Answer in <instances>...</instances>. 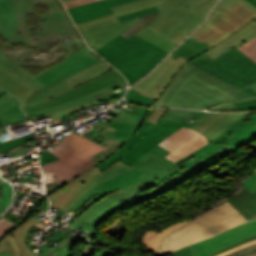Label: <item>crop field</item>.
Listing matches in <instances>:
<instances>
[{
	"instance_id": "crop-field-1",
	"label": "crop field",
	"mask_w": 256,
	"mask_h": 256,
	"mask_svg": "<svg viewBox=\"0 0 256 256\" xmlns=\"http://www.w3.org/2000/svg\"><path fill=\"white\" fill-rule=\"evenodd\" d=\"M193 1L137 0L112 7L114 13L77 24V27L88 45L96 51L142 18L120 23L116 17L157 6L160 14L145 28L177 45L201 24L217 0H209L194 9L185 7Z\"/></svg>"
},
{
	"instance_id": "crop-field-2",
	"label": "crop field",
	"mask_w": 256,
	"mask_h": 256,
	"mask_svg": "<svg viewBox=\"0 0 256 256\" xmlns=\"http://www.w3.org/2000/svg\"><path fill=\"white\" fill-rule=\"evenodd\" d=\"M168 153L170 152L157 145L138 162L136 161L137 163L133 167L146 172L138 176L142 180L115 191L117 194L107 199L102 198L92 204L77 218L79 226L92 231L101 221L112 214L160 195L193 175L185 169L169 181L156 187L154 180L178 166L164 158Z\"/></svg>"
},
{
	"instance_id": "crop-field-3",
	"label": "crop field",
	"mask_w": 256,
	"mask_h": 256,
	"mask_svg": "<svg viewBox=\"0 0 256 256\" xmlns=\"http://www.w3.org/2000/svg\"><path fill=\"white\" fill-rule=\"evenodd\" d=\"M37 3H45L49 7L48 13L38 16L40 25L28 27L26 15ZM0 34L12 42L22 41L41 47L67 37L80 41L56 0H0Z\"/></svg>"
},
{
	"instance_id": "crop-field-4",
	"label": "crop field",
	"mask_w": 256,
	"mask_h": 256,
	"mask_svg": "<svg viewBox=\"0 0 256 256\" xmlns=\"http://www.w3.org/2000/svg\"><path fill=\"white\" fill-rule=\"evenodd\" d=\"M171 83L154 105L206 109L254 97L188 63Z\"/></svg>"
},
{
	"instance_id": "crop-field-5",
	"label": "crop field",
	"mask_w": 256,
	"mask_h": 256,
	"mask_svg": "<svg viewBox=\"0 0 256 256\" xmlns=\"http://www.w3.org/2000/svg\"><path fill=\"white\" fill-rule=\"evenodd\" d=\"M246 221L226 202L194 220L169 225L158 233L149 229L141 243L151 253L161 256Z\"/></svg>"
},
{
	"instance_id": "crop-field-6",
	"label": "crop field",
	"mask_w": 256,
	"mask_h": 256,
	"mask_svg": "<svg viewBox=\"0 0 256 256\" xmlns=\"http://www.w3.org/2000/svg\"><path fill=\"white\" fill-rule=\"evenodd\" d=\"M96 52L127 77L129 86L169 53L136 34L128 39L120 35Z\"/></svg>"
},
{
	"instance_id": "crop-field-7",
	"label": "crop field",
	"mask_w": 256,
	"mask_h": 256,
	"mask_svg": "<svg viewBox=\"0 0 256 256\" xmlns=\"http://www.w3.org/2000/svg\"><path fill=\"white\" fill-rule=\"evenodd\" d=\"M101 150L109 152L100 145L71 133L65 136L55 148L48 150L61 160L41 165L42 171L43 173L57 172L56 182L62 187L94 167L95 163L91 156Z\"/></svg>"
},
{
	"instance_id": "crop-field-8",
	"label": "crop field",
	"mask_w": 256,
	"mask_h": 256,
	"mask_svg": "<svg viewBox=\"0 0 256 256\" xmlns=\"http://www.w3.org/2000/svg\"><path fill=\"white\" fill-rule=\"evenodd\" d=\"M153 110L154 109L151 108L142 126L125 146L121 147L119 151L97 165L101 172L117 160L132 166L150 149L180 129L182 126L191 128V126L188 125L177 124L163 119H160L157 125L145 122Z\"/></svg>"
},
{
	"instance_id": "crop-field-9",
	"label": "crop field",
	"mask_w": 256,
	"mask_h": 256,
	"mask_svg": "<svg viewBox=\"0 0 256 256\" xmlns=\"http://www.w3.org/2000/svg\"><path fill=\"white\" fill-rule=\"evenodd\" d=\"M254 18L256 12L242 2L239 1L230 7L220 1L207 21L190 37L200 42L205 41L213 47Z\"/></svg>"
},
{
	"instance_id": "crop-field-10",
	"label": "crop field",
	"mask_w": 256,
	"mask_h": 256,
	"mask_svg": "<svg viewBox=\"0 0 256 256\" xmlns=\"http://www.w3.org/2000/svg\"><path fill=\"white\" fill-rule=\"evenodd\" d=\"M189 63L256 96V92L251 88H245L256 82V63L236 48L213 62L203 53Z\"/></svg>"
},
{
	"instance_id": "crop-field-11",
	"label": "crop field",
	"mask_w": 256,
	"mask_h": 256,
	"mask_svg": "<svg viewBox=\"0 0 256 256\" xmlns=\"http://www.w3.org/2000/svg\"><path fill=\"white\" fill-rule=\"evenodd\" d=\"M131 168L133 167L118 161L101 173L95 166L68 183L65 191L61 188L48 195V198L52 207H60V210L66 213L90 189Z\"/></svg>"
},
{
	"instance_id": "crop-field-12",
	"label": "crop field",
	"mask_w": 256,
	"mask_h": 256,
	"mask_svg": "<svg viewBox=\"0 0 256 256\" xmlns=\"http://www.w3.org/2000/svg\"><path fill=\"white\" fill-rule=\"evenodd\" d=\"M250 118L256 122V114L251 115ZM254 139H256V129L249 133L248 135H246L245 137H243L242 139H240L239 141H237L236 143H234L233 145H228L220 150L211 143H209L208 145L202 147L201 149L177 161L176 163L179 165L177 168H175L169 174L154 182L157 186L172 178L185 168L188 169L193 174H195L205 169L206 167L212 165L213 163L217 162L218 160L224 158L225 156L229 155L232 151L244 146L245 144L249 143Z\"/></svg>"
},
{
	"instance_id": "crop-field-13",
	"label": "crop field",
	"mask_w": 256,
	"mask_h": 256,
	"mask_svg": "<svg viewBox=\"0 0 256 256\" xmlns=\"http://www.w3.org/2000/svg\"><path fill=\"white\" fill-rule=\"evenodd\" d=\"M60 42L61 43L58 44V46L49 50V46L40 48L29 44H27L25 48L17 49V47H13L10 41H8L5 45L12 48L13 50L4 52L3 50L5 49H0L2 50V52H4L6 55H8L21 66L24 64H26L27 66H29V64H40L42 67H44V65L56 63V59L60 55L64 56L60 59L62 61L63 59H66L67 57L77 52L81 48L85 47L83 43L79 41L61 40Z\"/></svg>"
},
{
	"instance_id": "crop-field-14",
	"label": "crop field",
	"mask_w": 256,
	"mask_h": 256,
	"mask_svg": "<svg viewBox=\"0 0 256 256\" xmlns=\"http://www.w3.org/2000/svg\"><path fill=\"white\" fill-rule=\"evenodd\" d=\"M98 57L87 47L81 49L58 65L36 75L35 81L42 84L36 90L52 85L75 72L100 61L101 59Z\"/></svg>"
},
{
	"instance_id": "crop-field-15",
	"label": "crop field",
	"mask_w": 256,
	"mask_h": 256,
	"mask_svg": "<svg viewBox=\"0 0 256 256\" xmlns=\"http://www.w3.org/2000/svg\"><path fill=\"white\" fill-rule=\"evenodd\" d=\"M189 60L181 56L174 60L169 56L152 74L131 89L156 100L173 79L177 71ZM157 94L159 95L156 96Z\"/></svg>"
},
{
	"instance_id": "crop-field-16",
	"label": "crop field",
	"mask_w": 256,
	"mask_h": 256,
	"mask_svg": "<svg viewBox=\"0 0 256 256\" xmlns=\"http://www.w3.org/2000/svg\"><path fill=\"white\" fill-rule=\"evenodd\" d=\"M125 81L122 74H120L115 69L107 72L106 74L90 81L85 84L79 85L75 87L74 89L66 92L65 94H62L58 97H55L45 103L29 106V107H22L24 112H31L35 110H40L44 108L53 107L55 105L61 104L63 102L69 101L71 99L77 98L79 96L118 84L120 82Z\"/></svg>"
},
{
	"instance_id": "crop-field-17",
	"label": "crop field",
	"mask_w": 256,
	"mask_h": 256,
	"mask_svg": "<svg viewBox=\"0 0 256 256\" xmlns=\"http://www.w3.org/2000/svg\"><path fill=\"white\" fill-rule=\"evenodd\" d=\"M256 234V220L239 225L190 246L192 256H207L231 243Z\"/></svg>"
},
{
	"instance_id": "crop-field-18",
	"label": "crop field",
	"mask_w": 256,
	"mask_h": 256,
	"mask_svg": "<svg viewBox=\"0 0 256 256\" xmlns=\"http://www.w3.org/2000/svg\"><path fill=\"white\" fill-rule=\"evenodd\" d=\"M208 143L206 138L197 131L182 127L158 145L170 151L166 158L175 162Z\"/></svg>"
},
{
	"instance_id": "crop-field-19",
	"label": "crop field",
	"mask_w": 256,
	"mask_h": 256,
	"mask_svg": "<svg viewBox=\"0 0 256 256\" xmlns=\"http://www.w3.org/2000/svg\"><path fill=\"white\" fill-rule=\"evenodd\" d=\"M0 85L19 97L22 106H25L29 96L40 86L34 81L28 82L2 63H0Z\"/></svg>"
},
{
	"instance_id": "crop-field-20",
	"label": "crop field",
	"mask_w": 256,
	"mask_h": 256,
	"mask_svg": "<svg viewBox=\"0 0 256 256\" xmlns=\"http://www.w3.org/2000/svg\"><path fill=\"white\" fill-rule=\"evenodd\" d=\"M133 0H103L75 8L68 9L75 24L81 23L99 16L112 13L110 7L130 2Z\"/></svg>"
},
{
	"instance_id": "crop-field-21",
	"label": "crop field",
	"mask_w": 256,
	"mask_h": 256,
	"mask_svg": "<svg viewBox=\"0 0 256 256\" xmlns=\"http://www.w3.org/2000/svg\"><path fill=\"white\" fill-rule=\"evenodd\" d=\"M256 35V22L252 21L248 25L244 26L240 30L233 33L231 36L214 46L209 51L205 52L209 58L213 61L215 58L226 53L230 49L246 42L250 38Z\"/></svg>"
},
{
	"instance_id": "crop-field-22",
	"label": "crop field",
	"mask_w": 256,
	"mask_h": 256,
	"mask_svg": "<svg viewBox=\"0 0 256 256\" xmlns=\"http://www.w3.org/2000/svg\"><path fill=\"white\" fill-rule=\"evenodd\" d=\"M126 84H127V81H125L123 83H120L118 85H115V86H112V87H109V88H106V89H103V90H100V91L82 96L80 98L74 99L72 101L66 102L64 104L58 105V106L53 107V108L28 113L27 116L29 117V119H33V118L41 117L43 115H47V114H50V113H54V112H57V111L68 109V108H71V107H74V106H78V105H81V104H84V103H88V102H91V101H110V100H113L115 98H121L124 91L117 92L114 95L104 97V98H101V99H98V100L94 99L93 96L115 90V89H117L119 87H122ZM74 103H76V104H74Z\"/></svg>"
},
{
	"instance_id": "crop-field-23",
	"label": "crop field",
	"mask_w": 256,
	"mask_h": 256,
	"mask_svg": "<svg viewBox=\"0 0 256 256\" xmlns=\"http://www.w3.org/2000/svg\"><path fill=\"white\" fill-rule=\"evenodd\" d=\"M38 222L40 221L32 216L3 238L4 242L10 247L13 256H36L25 246V238L28 231Z\"/></svg>"
},
{
	"instance_id": "crop-field-24",
	"label": "crop field",
	"mask_w": 256,
	"mask_h": 256,
	"mask_svg": "<svg viewBox=\"0 0 256 256\" xmlns=\"http://www.w3.org/2000/svg\"><path fill=\"white\" fill-rule=\"evenodd\" d=\"M256 128V123L249 119L248 117L244 116L227 130H225L221 135H219L213 143L219 149L228 145L233 144L252 130Z\"/></svg>"
},
{
	"instance_id": "crop-field-25",
	"label": "crop field",
	"mask_w": 256,
	"mask_h": 256,
	"mask_svg": "<svg viewBox=\"0 0 256 256\" xmlns=\"http://www.w3.org/2000/svg\"><path fill=\"white\" fill-rule=\"evenodd\" d=\"M102 62H104V60H102V61H100V62H98L96 64H93V65H91V66H89V67H87V68L77 72L76 74H74V75H72V76H70V77H68V78H66V79H64V80H62V81L52 85V86H49L47 88H44V89H41L39 91L34 92L30 96L26 106L45 102V101H47V100H49V99H51V98H53V97H55L57 95H60V94H62L64 92L72 89L73 87L71 85H69L65 80H67V79H69V78H71V77H73V76H75V75H77L79 73H82V72H84V71H86V70H88V69H90V68H92V67H94V66H96V65H98L100 63H102Z\"/></svg>"
},
{
	"instance_id": "crop-field-26",
	"label": "crop field",
	"mask_w": 256,
	"mask_h": 256,
	"mask_svg": "<svg viewBox=\"0 0 256 256\" xmlns=\"http://www.w3.org/2000/svg\"><path fill=\"white\" fill-rule=\"evenodd\" d=\"M5 92V90L0 88V97ZM27 119L28 118L20 108L19 100L15 97L0 106V126L25 121Z\"/></svg>"
},
{
	"instance_id": "crop-field-27",
	"label": "crop field",
	"mask_w": 256,
	"mask_h": 256,
	"mask_svg": "<svg viewBox=\"0 0 256 256\" xmlns=\"http://www.w3.org/2000/svg\"><path fill=\"white\" fill-rule=\"evenodd\" d=\"M248 221L256 219V191H245L228 201Z\"/></svg>"
},
{
	"instance_id": "crop-field-28",
	"label": "crop field",
	"mask_w": 256,
	"mask_h": 256,
	"mask_svg": "<svg viewBox=\"0 0 256 256\" xmlns=\"http://www.w3.org/2000/svg\"><path fill=\"white\" fill-rule=\"evenodd\" d=\"M244 115L245 114H227L210 129H208L205 133H203V135L207 138L209 142H211L220 133H222L225 129H227Z\"/></svg>"
},
{
	"instance_id": "crop-field-29",
	"label": "crop field",
	"mask_w": 256,
	"mask_h": 256,
	"mask_svg": "<svg viewBox=\"0 0 256 256\" xmlns=\"http://www.w3.org/2000/svg\"><path fill=\"white\" fill-rule=\"evenodd\" d=\"M111 69H112V67L110 65H108L106 62H104V63H102V64L82 73V74H79V75L67 80V82L70 83L73 87H75L79 84H82L84 82L92 80Z\"/></svg>"
},
{
	"instance_id": "crop-field-30",
	"label": "crop field",
	"mask_w": 256,
	"mask_h": 256,
	"mask_svg": "<svg viewBox=\"0 0 256 256\" xmlns=\"http://www.w3.org/2000/svg\"><path fill=\"white\" fill-rule=\"evenodd\" d=\"M99 126L100 128L97 129L96 131L94 129L84 130L103 140L109 137L115 141H117V139H120V142L129 135V133L123 132L121 130L110 128L103 122L99 123Z\"/></svg>"
},
{
	"instance_id": "crop-field-31",
	"label": "crop field",
	"mask_w": 256,
	"mask_h": 256,
	"mask_svg": "<svg viewBox=\"0 0 256 256\" xmlns=\"http://www.w3.org/2000/svg\"><path fill=\"white\" fill-rule=\"evenodd\" d=\"M0 62L14 70L16 73L27 79L28 81H33L35 78V74L29 72L28 70L22 68L17 63H15L13 60H11L8 56H6L4 53L0 51Z\"/></svg>"
},
{
	"instance_id": "crop-field-32",
	"label": "crop field",
	"mask_w": 256,
	"mask_h": 256,
	"mask_svg": "<svg viewBox=\"0 0 256 256\" xmlns=\"http://www.w3.org/2000/svg\"><path fill=\"white\" fill-rule=\"evenodd\" d=\"M144 38H146L147 40L157 44L158 46L164 48L167 51H171L176 45L168 42L167 40L161 38L160 36L152 33L151 31L147 30V29H142L141 31H139L138 33H136ZM145 39V40H146ZM154 44V45H155ZM156 45V46H157Z\"/></svg>"
},
{
	"instance_id": "crop-field-33",
	"label": "crop field",
	"mask_w": 256,
	"mask_h": 256,
	"mask_svg": "<svg viewBox=\"0 0 256 256\" xmlns=\"http://www.w3.org/2000/svg\"><path fill=\"white\" fill-rule=\"evenodd\" d=\"M226 114L208 113L202 120H200L193 129L198 130L201 134L210 128L214 123L221 119Z\"/></svg>"
},
{
	"instance_id": "crop-field-34",
	"label": "crop field",
	"mask_w": 256,
	"mask_h": 256,
	"mask_svg": "<svg viewBox=\"0 0 256 256\" xmlns=\"http://www.w3.org/2000/svg\"><path fill=\"white\" fill-rule=\"evenodd\" d=\"M12 198V188L7 183L0 184V215L6 210Z\"/></svg>"
},
{
	"instance_id": "crop-field-35",
	"label": "crop field",
	"mask_w": 256,
	"mask_h": 256,
	"mask_svg": "<svg viewBox=\"0 0 256 256\" xmlns=\"http://www.w3.org/2000/svg\"><path fill=\"white\" fill-rule=\"evenodd\" d=\"M159 13H153V14H149V15H145L143 16V18L137 22L133 27H131L129 30H127L126 32H124L122 35L125 37H130L131 35L135 34L136 32H138L139 30H141L142 28H144L148 23H150Z\"/></svg>"
},
{
	"instance_id": "crop-field-36",
	"label": "crop field",
	"mask_w": 256,
	"mask_h": 256,
	"mask_svg": "<svg viewBox=\"0 0 256 256\" xmlns=\"http://www.w3.org/2000/svg\"><path fill=\"white\" fill-rule=\"evenodd\" d=\"M237 49L256 62V36L237 47Z\"/></svg>"
},
{
	"instance_id": "crop-field-37",
	"label": "crop field",
	"mask_w": 256,
	"mask_h": 256,
	"mask_svg": "<svg viewBox=\"0 0 256 256\" xmlns=\"http://www.w3.org/2000/svg\"><path fill=\"white\" fill-rule=\"evenodd\" d=\"M240 184L244 187L243 189H241L236 194L226 198L225 200L217 203V205H220V204H222V203L232 199L233 197L237 196L238 194L242 193L243 191H245L247 189H249V190L254 192L256 190V172L252 176H250L248 179H246L245 181H243Z\"/></svg>"
},
{
	"instance_id": "crop-field-38",
	"label": "crop field",
	"mask_w": 256,
	"mask_h": 256,
	"mask_svg": "<svg viewBox=\"0 0 256 256\" xmlns=\"http://www.w3.org/2000/svg\"><path fill=\"white\" fill-rule=\"evenodd\" d=\"M199 54H201V53L182 44L170 56H172L174 59H176L179 55H181L187 59V58H191V57H196Z\"/></svg>"
},
{
	"instance_id": "crop-field-39",
	"label": "crop field",
	"mask_w": 256,
	"mask_h": 256,
	"mask_svg": "<svg viewBox=\"0 0 256 256\" xmlns=\"http://www.w3.org/2000/svg\"><path fill=\"white\" fill-rule=\"evenodd\" d=\"M36 136L30 134V135H26V136H23V137H19V138H16V139H13V140H10V141H7V142H3V143H0V149L5 152L7 151L8 149L16 146V145H19L21 143H24L32 138H34Z\"/></svg>"
},
{
	"instance_id": "crop-field-40",
	"label": "crop field",
	"mask_w": 256,
	"mask_h": 256,
	"mask_svg": "<svg viewBox=\"0 0 256 256\" xmlns=\"http://www.w3.org/2000/svg\"><path fill=\"white\" fill-rule=\"evenodd\" d=\"M126 99L133 101V102H138V103H143V104H149L152 105L155 100L150 99L148 97H145L141 94L136 93L133 90H129V92L127 93V95L125 96Z\"/></svg>"
},
{
	"instance_id": "crop-field-41",
	"label": "crop field",
	"mask_w": 256,
	"mask_h": 256,
	"mask_svg": "<svg viewBox=\"0 0 256 256\" xmlns=\"http://www.w3.org/2000/svg\"><path fill=\"white\" fill-rule=\"evenodd\" d=\"M17 224L13 223L12 221L3 218L0 220V240L6 236L8 233H10L13 229H15Z\"/></svg>"
},
{
	"instance_id": "crop-field-42",
	"label": "crop field",
	"mask_w": 256,
	"mask_h": 256,
	"mask_svg": "<svg viewBox=\"0 0 256 256\" xmlns=\"http://www.w3.org/2000/svg\"><path fill=\"white\" fill-rule=\"evenodd\" d=\"M184 44L193 48V49H195V50H197V51H199V52H201V53H203V52L207 51L208 49L212 48L208 44H206L205 42L200 43V42H198V41H196V40H194L190 37L184 42Z\"/></svg>"
},
{
	"instance_id": "crop-field-43",
	"label": "crop field",
	"mask_w": 256,
	"mask_h": 256,
	"mask_svg": "<svg viewBox=\"0 0 256 256\" xmlns=\"http://www.w3.org/2000/svg\"><path fill=\"white\" fill-rule=\"evenodd\" d=\"M157 11H158L157 8L153 7V8L143 10V11H139V12H136V13L125 15V16H122V17H118V19H119L120 22H122V21L130 20V19L142 16V15H145V14L157 12Z\"/></svg>"
},
{
	"instance_id": "crop-field-44",
	"label": "crop field",
	"mask_w": 256,
	"mask_h": 256,
	"mask_svg": "<svg viewBox=\"0 0 256 256\" xmlns=\"http://www.w3.org/2000/svg\"><path fill=\"white\" fill-rule=\"evenodd\" d=\"M240 111L256 109V98L235 103Z\"/></svg>"
},
{
	"instance_id": "crop-field-45",
	"label": "crop field",
	"mask_w": 256,
	"mask_h": 256,
	"mask_svg": "<svg viewBox=\"0 0 256 256\" xmlns=\"http://www.w3.org/2000/svg\"><path fill=\"white\" fill-rule=\"evenodd\" d=\"M100 102H91V103H88V104H84V105H81V106H78V107H74V108H71V109H68V110H64V111H61V112H57V113H54V114H50L48 116H51L53 120L55 119H59V115L61 114H65V113H69V112H72V111H75V110H78V109H81V108H84V107H87V106H92V105H95V104H98ZM48 116H44V117H48ZM42 117V118H44ZM41 119V118H39ZM34 120H37V119H34ZM32 120V121H34Z\"/></svg>"
},
{
	"instance_id": "crop-field-46",
	"label": "crop field",
	"mask_w": 256,
	"mask_h": 256,
	"mask_svg": "<svg viewBox=\"0 0 256 256\" xmlns=\"http://www.w3.org/2000/svg\"><path fill=\"white\" fill-rule=\"evenodd\" d=\"M253 252H256V244L252 245V246L245 247L243 249H240V250L233 252L231 254H228L226 256H245V255L251 254Z\"/></svg>"
},
{
	"instance_id": "crop-field-47",
	"label": "crop field",
	"mask_w": 256,
	"mask_h": 256,
	"mask_svg": "<svg viewBox=\"0 0 256 256\" xmlns=\"http://www.w3.org/2000/svg\"><path fill=\"white\" fill-rule=\"evenodd\" d=\"M167 111V109H155L151 116L148 118L147 122L156 124L160 117Z\"/></svg>"
},
{
	"instance_id": "crop-field-48",
	"label": "crop field",
	"mask_w": 256,
	"mask_h": 256,
	"mask_svg": "<svg viewBox=\"0 0 256 256\" xmlns=\"http://www.w3.org/2000/svg\"><path fill=\"white\" fill-rule=\"evenodd\" d=\"M96 244H98V243H96L95 241L88 244L85 249L81 250L80 254H82V256H91L93 253H95L97 250H99L98 248H96L94 246ZM80 254H79V256H81Z\"/></svg>"
},
{
	"instance_id": "crop-field-49",
	"label": "crop field",
	"mask_w": 256,
	"mask_h": 256,
	"mask_svg": "<svg viewBox=\"0 0 256 256\" xmlns=\"http://www.w3.org/2000/svg\"><path fill=\"white\" fill-rule=\"evenodd\" d=\"M253 240H256V235H255V236H252V237H250V238L244 239V240H242V241L236 242V243H234V244H232V245H230V246H228V247H226V248H224V249H222V250H220V251H218V252H216V253H214V254H212V255H210V256H215V255H217V254H219V253H222V252H224V251H227V250H229V249H232V248H234V247H237V246H239V245H241V244H244V243H246V242L253 241Z\"/></svg>"
},
{
	"instance_id": "crop-field-50",
	"label": "crop field",
	"mask_w": 256,
	"mask_h": 256,
	"mask_svg": "<svg viewBox=\"0 0 256 256\" xmlns=\"http://www.w3.org/2000/svg\"><path fill=\"white\" fill-rule=\"evenodd\" d=\"M95 1H99V0H74L71 2L64 3V5L66 6V8H69V7H75V6H79V5H83V4H87Z\"/></svg>"
},
{
	"instance_id": "crop-field-51",
	"label": "crop field",
	"mask_w": 256,
	"mask_h": 256,
	"mask_svg": "<svg viewBox=\"0 0 256 256\" xmlns=\"http://www.w3.org/2000/svg\"><path fill=\"white\" fill-rule=\"evenodd\" d=\"M89 235H91V233L86 232L85 234H83L82 236H80L79 238H77L76 240H74L72 243H70V244L67 246V248L65 249L64 254H63L62 256H68V254H69V252H70L72 246H73L75 243H77L78 241H80V240H82V239L88 237Z\"/></svg>"
},
{
	"instance_id": "crop-field-52",
	"label": "crop field",
	"mask_w": 256,
	"mask_h": 256,
	"mask_svg": "<svg viewBox=\"0 0 256 256\" xmlns=\"http://www.w3.org/2000/svg\"><path fill=\"white\" fill-rule=\"evenodd\" d=\"M0 256H12L10 249L3 240L0 241Z\"/></svg>"
},
{
	"instance_id": "crop-field-53",
	"label": "crop field",
	"mask_w": 256,
	"mask_h": 256,
	"mask_svg": "<svg viewBox=\"0 0 256 256\" xmlns=\"http://www.w3.org/2000/svg\"><path fill=\"white\" fill-rule=\"evenodd\" d=\"M174 256H191L189 246L183 247L175 252L172 253Z\"/></svg>"
},
{
	"instance_id": "crop-field-54",
	"label": "crop field",
	"mask_w": 256,
	"mask_h": 256,
	"mask_svg": "<svg viewBox=\"0 0 256 256\" xmlns=\"http://www.w3.org/2000/svg\"><path fill=\"white\" fill-rule=\"evenodd\" d=\"M221 1H223V2H225L226 4H228V5H233L234 3H236L237 1H239V0H221ZM240 1H242L244 4H246L247 6H249L251 9H253L254 11H256V8L252 5V4H250L249 2H247V1H245V0H240Z\"/></svg>"
},
{
	"instance_id": "crop-field-55",
	"label": "crop field",
	"mask_w": 256,
	"mask_h": 256,
	"mask_svg": "<svg viewBox=\"0 0 256 256\" xmlns=\"http://www.w3.org/2000/svg\"><path fill=\"white\" fill-rule=\"evenodd\" d=\"M112 253V251L107 250V249H100L99 251H97L95 254H93L92 256H110Z\"/></svg>"
},
{
	"instance_id": "crop-field-56",
	"label": "crop field",
	"mask_w": 256,
	"mask_h": 256,
	"mask_svg": "<svg viewBox=\"0 0 256 256\" xmlns=\"http://www.w3.org/2000/svg\"><path fill=\"white\" fill-rule=\"evenodd\" d=\"M255 243H256V241L246 243V244H244V245H242V246H239V247H237V248H234V249H232V250H229V251L224 252V253H222V254H220V255H217V256L226 255V254L231 253V252H233V251H236V250H238V249H240V248H243V247H245V246L252 245V244H255Z\"/></svg>"
},
{
	"instance_id": "crop-field-57",
	"label": "crop field",
	"mask_w": 256,
	"mask_h": 256,
	"mask_svg": "<svg viewBox=\"0 0 256 256\" xmlns=\"http://www.w3.org/2000/svg\"><path fill=\"white\" fill-rule=\"evenodd\" d=\"M14 97V95L6 92L1 98H0V105L4 104L6 101Z\"/></svg>"
},
{
	"instance_id": "crop-field-58",
	"label": "crop field",
	"mask_w": 256,
	"mask_h": 256,
	"mask_svg": "<svg viewBox=\"0 0 256 256\" xmlns=\"http://www.w3.org/2000/svg\"><path fill=\"white\" fill-rule=\"evenodd\" d=\"M61 188L56 182L46 189L47 195Z\"/></svg>"
},
{
	"instance_id": "crop-field-59",
	"label": "crop field",
	"mask_w": 256,
	"mask_h": 256,
	"mask_svg": "<svg viewBox=\"0 0 256 256\" xmlns=\"http://www.w3.org/2000/svg\"><path fill=\"white\" fill-rule=\"evenodd\" d=\"M204 1H206V0H196L195 2L191 3L188 6L191 7V8H194L196 5H198V4H200V3L204 2Z\"/></svg>"
},
{
	"instance_id": "crop-field-60",
	"label": "crop field",
	"mask_w": 256,
	"mask_h": 256,
	"mask_svg": "<svg viewBox=\"0 0 256 256\" xmlns=\"http://www.w3.org/2000/svg\"><path fill=\"white\" fill-rule=\"evenodd\" d=\"M115 92L112 91V92H109V93H105V94H102V95H99V96H95L94 98L98 99V98H101V97H104V96H108V95H111V94H114Z\"/></svg>"
},
{
	"instance_id": "crop-field-61",
	"label": "crop field",
	"mask_w": 256,
	"mask_h": 256,
	"mask_svg": "<svg viewBox=\"0 0 256 256\" xmlns=\"http://www.w3.org/2000/svg\"><path fill=\"white\" fill-rule=\"evenodd\" d=\"M49 244H50L49 242H46V245H45V247L43 249V252H42V256H45V254H46V252L48 250Z\"/></svg>"
},
{
	"instance_id": "crop-field-62",
	"label": "crop field",
	"mask_w": 256,
	"mask_h": 256,
	"mask_svg": "<svg viewBox=\"0 0 256 256\" xmlns=\"http://www.w3.org/2000/svg\"><path fill=\"white\" fill-rule=\"evenodd\" d=\"M5 131H7L5 127H1V128H0V134L3 133V132H5Z\"/></svg>"
},
{
	"instance_id": "crop-field-63",
	"label": "crop field",
	"mask_w": 256,
	"mask_h": 256,
	"mask_svg": "<svg viewBox=\"0 0 256 256\" xmlns=\"http://www.w3.org/2000/svg\"><path fill=\"white\" fill-rule=\"evenodd\" d=\"M247 1H249L250 3H252L256 7V0H247Z\"/></svg>"
},
{
	"instance_id": "crop-field-64",
	"label": "crop field",
	"mask_w": 256,
	"mask_h": 256,
	"mask_svg": "<svg viewBox=\"0 0 256 256\" xmlns=\"http://www.w3.org/2000/svg\"><path fill=\"white\" fill-rule=\"evenodd\" d=\"M252 88H254L256 90V83L251 85Z\"/></svg>"
},
{
	"instance_id": "crop-field-65",
	"label": "crop field",
	"mask_w": 256,
	"mask_h": 256,
	"mask_svg": "<svg viewBox=\"0 0 256 256\" xmlns=\"http://www.w3.org/2000/svg\"><path fill=\"white\" fill-rule=\"evenodd\" d=\"M248 256H256V253H253V254H251V255H248Z\"/></svg>"
},
{
	"instance_id": "crop-field-66",
	"label": "crop field",
	"mask_w": 256,
	"mask_h": 256,
	"mask_svg": "<svg viewBox=\"0 0 256 256\" xmlns=\"http://www.w3.org/2000/svg\"><path fill=\"white\" fill-rule=\"evenodd\" d=\"M67 1H70V0H67ZM62 2H66L65 0H63Z\"/></svg>"
},
{
	"instance_id": "crop-field-67",
	"label": "crop field",
	"mask_w": 256,
	"mask_h": 256,
	"mask_svg": "<svg viewBox=\"0 0 256 256\" xmlns=\"http://www.w3.org/2000/svg\"><path fill=\"white\" fill-rule=\"evenodd\" d=\"M254 21H256V19Z\"/></svg>"
}]
</instances>
